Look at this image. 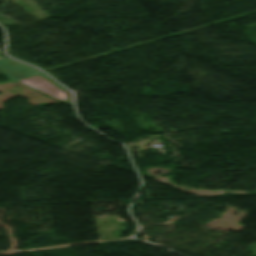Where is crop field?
<instances>
[{"instance_id":"crop-field-2","label":"crop field","mask_w":256,"mask_h":256,"mask_svg":"<svg viewBox=\"0 0 256 256\" xmlns=\"http://www.w3.org/2000/svg\"><path fill=\"white\" fill-rule=\"evenodd\" d=\"M19 82L24 83L34 89H37L47 95H50L60 101L70 100L68 97H66L63 94V92L59 91L58 89H56L54 86H52L51 84H49L39 76L26 79L23 81H19Z\"/></svg>"},{"instance_id":"crop-field-1","label":"crop field","mask_w":256,"mask_h":256,"mask_svg":"<svg viewBox=\"0 0 256 256\" xmlns=\"http://www.w3.org/2000/svg\"><path fill=\"white\" fill-rule=\"evenodd\" d=\"M0 70L5 74L12 82L23 80L26 78H30L33 76H41L46 81L54 85L59 90L63 91L65 95H67L69 98H71V94L68 90H66L64 87L56 84L54 81H52L48 76H46L44 73L36 70L35 68L28 66L26 64L20 63L18 61L12 60L10 58H3L0 59ZM72 99V98H71Z\"/></svg>"}]
</instances>
